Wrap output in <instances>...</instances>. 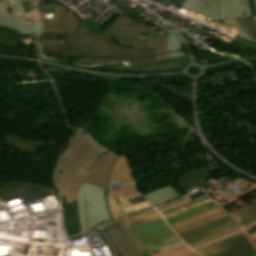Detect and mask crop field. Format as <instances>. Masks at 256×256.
I'll list each match as a JSON object with an SVG mask.
<instances>
[{
    "mask_svg": "<svg viewBox=\"0 0 256 256\" xmlns=\"http://www.w3.org/2000/svg\"><path fill=\"white\" fill-rule=\"evenodd\" d=\"M218 3L221 20L241 17L238 0H218Z\"/></svg>",
    "mask_w": 256,
    "mask_h": 256,
    "instance_id": "00972430",
    "label": "crop field"
},
{
    "mask_svg": "<svg viewBox=\"0 0 256 256\" xmlns=\"http://www.w3.org/2000/svg\"><path fill=\"white\" fill-rule=\"evenodd\" d=\"M145 248L152 256H185L193 253L177 236L145 246Z\"/></svg>",
    "mask_w": 256,
    "mask_h": 256,
    "instance_id": "d1516ede",
    "label": "crop field"
},
{
    "mask_svg": "<svg viewBox=\"0 0 256 256\" xmlns=\"http://www.w3.org/2000/svg\"><path fill=\"white\" fill-rule=\"evenodd\" d=\"M152 208H153V206L145 208V209H142V210H139V211H136V212H132V213L126 214V217L134 215V214H137V213H140V212H143V211H146V210H149V209H152Z\"/></svg>",
    "mask_w": 256,
    "mask_h": 256,
    "instance_id": "028f5c9d",
    "label": "crop field"
},
{
    "mask_svg": "<svg viewBox=\"0 0 256 256\" xmlns=\"http://www.w3.org/2000/svg\"><path fill=\"white\" fill-rule=\"evenodd\" d=\"M158 219H161V217L157 214V212L155 210H152V211L142 213V214H139V215H136L131 218L123 220V223L127 227L132 238L137 243V245L141 248L142 251H144L145 249L142 246V244L139 242V240L137 239V237L135 236V234L133 233V231L131 230L130 227L142 225V224H145V223H148L151 221H155Z\"/></svg>",
    "mask_w": 256,
    "mask_h": 256,
    "instance_id": "4a817a6b",
    "label": "crop field"
},
{
    "mask_svg": "<svg viewBox=\"0 0 256 256\" xmlns=\"http://www.w3.org/2000/svg\"><path fill=\"white\" fill-rule=\"evenodd\" d=\"M151 102L148 99H145L144 102L141 103V100H131L127 99L123 103V105L120 108H115L111 115L115 114V119L117 117H120V121L126 122V125H131V127H135L134 131L138 134L143 135H149L156 131L158 127H163L164 125H167L169 123H175L174 127L176 128H182L186 126L182 121H180L170 110H166L165 108L159 110L164 111V113H170L172 115V118L170 121L160 125V126H154L151 122H149L146 118L151 112L149 110L152 105H150ZM106 113H109L111 111L106 109ZM110 115V116H111Z\"/></svg>",
    "mask_w": 256,
    "mask_h": 256,
    "instance_id": "412701ff",
    "label": "crop field"
},
{
    "mask_svg": "<svg viewBox=\"0 0 256 256\" xmlns=\"http://www.w3.org/2000/svg\"><path fill=\"white\" fill-rule=\"evenodd\" d=\"M224 44L229 45V46L237 47V48L241 49L244 52L246 51V49L249 46L256 48V45H253L251 43H248V42H246L244 40H241V39H238L236 37H234V39H233L231 44H227V43H224Z\"/></svg>",
    "mask_w": 256,
    "mask_h": 256,
    "instance_id": "750c4746",
    "label": "crop field"
},
{
    "mask_svg": "<svg viewBox=\"0 0 256 256\" xmlns=\"http://www.w3.org/2000/svg\"><path fill=\"white\" fill-rule=\"evenodd\" d=\"M182 7L220 21L217 0H186Z\"/></svg>",
    "mask_w": 256,
    "mask_h": 256,
    "instance_id": "d9b57169",
    "label": "crop field"
},
{
    "mask_svg": "<svg viewBox=\"0 0 256 256\" xmlns=\"http://www.w3.org/2000/svg\"><path fill=\"white\" fill-rule=\"evenodd\" d=\"M26 184L25 182H11L0 186V197L2 200L18 196L12 190Z\"/></svg>",
    "mask_w": 256,
    "mask_h": 256,
    "instance_id": "ae1a2a85",
    "label": "crop field"
},
{
    "mask_svg": "<svg viewBox=\"0 0 256 256\" xmlns=\"http://www.w3.org/2000/svg\"><path fill=\"white\" fill-rule=\"evenodd\" d=\"M82 233L113 222L107 208L105 189L84 182L77 192Z\"/></svg>",
    "mask_w": 256,
    "mask_h": 256,
    "instance_id": "34b2d1b8",
    "label": "crop field"
},
{
    "mask_svg": "<svg viewBox=\"0 0 256 256\" xmlns=\"http://www.w3.org/2000/svg\"><path fill=\"white\" fill-rule=\"evenodd\" d=\"M165 90H166V91H169V92H172V93H174V94H177V95H179V96H182V97H184V98H186V99L192 101V97H191V96H187V95H184V94H181V93H177V92L171 91V90L166 89V88H165Z\"/></svg>",
    "mask_w": 256,
    "mask_h": 256,
    "instance_id": "5866460e",
    "label": "crop field"
},
{
    "mask_svg": "<svg viewBox=\"0 0 256 256\" xmlns=\"http://www.w3.org/2000/svg\"><path fill=\"white\" fill-rule=\"evenodd\" d=\"M251 237H252L254 243L256 244V233L252 234Z\"/></svg>",
    "mask_w": 256,
    "mask_h": 256,
    "instance_id": "b80d0937",
    "label": "crop field"
},
{
    "mask_svg": "<svg viewBox=\"0 0 256 256\" xmlns=\"http://www.w3.org/2000/svg\"><path fill=\"white\" fill-rule=\"evenodd\" d=\"M230 215H232L239 222L245 219H248L250 217H253L256 215V203L250 206H247L245 208H242L238 211H235L233 213H230Z\"/></svg>",
    "mask_w": 256,
    "mask_h": 256,
    "instance_id": "d3111659",
    "label": "crop field"
},
{
    "mask_svg": "<svg viewBox=\"0 0 256 256\" xmlns=\"http://www.w3.org/2000/svg\"><path fill=\"white\" fill-rule=\"evenodd\" d=\"M121 256H145L133 241L122 221L103 227Z\"/></svg>",
    "mask_w": 256,
    "mask_h": 256,
    "instance_id": "d8731c3e",
    "label": "crop field"
},
{
    "mask_svg": "<svg viewBox=\"0 0 256 256\" xmlns=\"http://www.w3.org/2000/svg\"><path fill=\"white\" fill-rule=\"evenodd\" d=\"M215 207H218V205L205 195L193 200H190V198L186 196L167 205L161 206L157 208V210L167 221L168 225H170Z\"/></svg>",
    "mask_w": 256,
    "mask_h": 256,
    "instance_id": "f4fd0767",
    "label": "crop field"
},
{
    "mask_svg": "<svg viewBox=\"0 0 256 256\" xmlns=\"http://www.w3.org/2000/svg\"><path fill=\"white\" fill-rule=\"evenodd\" d=\"M64 33H42L39 39L43 54L83 57L79 51L65 42Z\"/></svg>",
    "mask_w": 256,
    "mask_h": 256,
    "instance_id": "5a996713",
    "label": "crop field"
},
{
    "mask_svg": "<svg viewBox=\"0 0 256 256\" xmlns=\"http://www.w3.org/2000/svg\"><path fill=\"white\" fill-rule=\"evenodd\" d=\"M227 215V213L220 207L213 210L207 211L205 213L199 214L197 216L191 217L189 219L183 220L181 222L170 225L173 231L177 234L184 232L186 230L192 229L214 219L220 218Z\"/></svg>",
    "mask_w": 256,
    "mask_h": 256,
    "instance_id": "cbeb9de0",
    "label": "crop field"
},
{
    "mask_svg": "<svg viewBox=\"0 0 256 256\" xmlns=\"http://www.w3.org/2000/svg\"><path fill=\"white\" fill-rule=\"evenodd\" d=\"M66 34V42L79 50L85 58H78L77 64H96L129 61V64L155 61V48H145L147 37L140 34L151 28L120 15L101 34H91L68 10L60 21ZM112 34V35H110ZM116 39V41H113Z\"/></svg>",
    "mask_w": 256,
    "mask_h": 256,
    "instance_id": "8a807250",
    "label": "crop field"
},
{
    "mask_svg": "<svg viewBox=\"0 0 256 256\" xmlns=\"http://www.w3.org/2000/svg\"><path fill=\"white\" fill-rule=\"evenodd\" d=\"M148 206H151V204L147 200H145V201L139 202L137 204L128 206L126 208H123V211L126 214V213H129V212H132V211H135V210H139V209H142V208H145V207H148Z\"/></svg>",
    "mask_w": 256,
    "mask_h": 256,
    "instance_id": "1d83c4d3",
    "label": "crop field"
},
{
    "mask_svg": "<svg viewBox=\"0 0 256 256\" xmlns=\"http://www.w3.org/2000/svg\"><path fill=\"white\" fill-rule=\"evenodd\" d=\"M32 0H1L0 14H31Z\"/></svg>",
    "mask_w": 256,
    "mask_h": 256,
    "instance_id": "bc2a9ffb",
    "label": "crop field"
},
{
    "mask_svg": "<svg viewBox=\"0 0 256 256\" xmlns=\"http://www.w3.org/2000/svg\"><path fill=\"white\" fill-rule=\"evenodd\" d=\"M240 226V224L230 215L214 220L192 230L179 234V237L187 244H191L218 234L220 232L229 230L231 228Z\"/></svg>",
    "mask_w": 256,
    "mask_h": 256,
    "instance_id": "e52e79f7",
    "label": "crop field"
},
{
    "mask_svg": "<svg viewBox=\"0 0 256 256\" xmlns=\"http://www.w3.org/2000/svg\"><path fill=\"white\" fill-rule=\"evenodd\" d=\"M254 220H256V216L253 217V218H250V219H248V220H246V221L241 222V224L244 225V224L249 223V222H252V221H254Z\"/></svg>",
    "mask_w": 256,
    "mask_h": 256,
    "instance_id": "0bd39190",
    "label": "crop field"
},
{
    "mask_svg": "<svg viewBox=\"0 0 256 256\" xmlns=\"http://www.w3.org/2000/svg\"><path fill=\"white\" fill-rule=\"evenodd\" d=\"M256 19V17H254Z\"/></svg>",
    "mask_w": 256,
    "mask_h": 256,
    "instance_id": "5d738f31",
    "label": "crop field"
},
{
    "mask_svg": "<svg viewBox=\"0 0 256 256\" xmlns=\"http://www.w3.org/2000/svg\"><path fill=\"white\" fill-rule=\"evenodd\" d=\"M81 130L76 129L67 141L54 174V183L67 204L76 200V191L89 175L83 170L108 152Z\"/></svg>",
    "mask_w": 256,
    "mask_h": 256,
    "instance_id": "ac0d7876",
    "label": "crop field"
},
{
    "mask_svg": "<svg viewBox=\"0 0 256 256\" xmlns=\"http://www.w3.org/2000/svg\"><path fill=\"white\" fill-rule=\"evenodd\" d=\"M155 30L151 29L146 47H156L158 60L168 59L169 56L165 50L167 38H153Z\"/></svg>",
    "mask_w": 256,
    "mask_h": 256,
    "instance_id": "a9b5d70f",
    "label": "crop field"
},
{
    "mask_svg": "<svg viewBox=\"0 0 256 256\" xmlns=\"http://www.w3.org/2000/svg\"><path fill=\"white\" fill-rule=\"evenodd\" d=\"M221 22H222V23H225V24H228V25H231V26H233V27H236V28H238V29H240L239 32L237 33V35H239V36H241V37H243V38H245V39H248V40H250V41H253L251 38H249V37L244 33V31L240 28V26L238 25V23L236 22L235 19L226 20V21H221ZM253 42H255V41H253Z\"/></svg>",
    "mask_w": 256,
    "mask_h": 256,
    "instance_id": "120bbe31",
    "label": "crop field"
},
{
    "mask_svg": "<svg viewBox=\"0 0 256 256\" xmlns=\"http://www.w3.org/2000/svg\"><path fill=\"white\" fill-rule=\"evenodd\" d=\"M132 230L143 246L175 236L163 219L142 226L133 227Z\"/></svg>",
    "mask_w": 256,
    "mask_h": 256,
    "instance_id": "3316defc",
    "label": "crop field"
},
{
    "mask_svg": "<svg viewBox=\"0 0 256 256\" xmlns=\"http://www.w3.org/2000/svg\"><path fill=\"white\" fill-rule=\"evenodd\" d=\"M188 61L187 57H178L168 60L149 62L144 64L132 65V72H153V71H167L172 69H178L186 64Z\"/></svg>",
    "mask_w": 256,
    "mask_h": 256,
    "instance_id": "5142ce71",
    "label": "crop field"
},
{
    "mask_svg": "<svg viewBox=\"0 0 256 256\" xmlns=\"http://www.w3.org/2000/svg\"><path fill=\"white\" fill-rule=\"evenodd\" d=\"M254 3H255V7H256V0H254Z\"/></svg>",
    "mask_w": 256,
    "mask_h": 256,
    "instance_id": "03da06ac",
    "label": "crop field"
},
{
    "mask_svg": "<svg viewBox=\"0 0 256 256\" xmlns=\"http://www.w3.org/2000/svg\"><path fill=\"white\" fill-rule=\"evenodd\" d=\"M117 195H120L121 199H126L138 195V193L134 184H122L121 191H106L108 208L114 222L126 218L121 208L131 205L129 200L116 203L114 196Z\"/></svg>",
    "mask_w": 256,
    "mask_h": 256,
    "instance_id": "22f410ed",
    "label": "crop field"
},
{
    "mask_svg": "<svg viewBox=\"0 0 256 256\" xmlns=\"http://www.w3.org/2000/svg\"><path fill=\"white\" fill-rule=\"evenodd\" d=\"M255 186H256V183L252 182Z\"/></svg>",
    "mask_w": 256,
    "mask_h": 256,
    "instance_id": "b54c1fbb",
    "label": "crop field"
},
{
    "mask_svg": "<svg viewBox=\"0 0 256 256\" xmlns=\"http://www.w3.org/2000/svg\"><path fill=\"white\" fill-rule=\"evenodd\" d=\"M242 231H244V229H243L242 226H240V227L234 228L232 230H229V231L220 233L218 235L212 236V237L207 238L205 240L199 241L197 243L191 244L189 246L191 248H193L194 250H196L198 248H201V247H204L206 245L212 244V243L217 242V241H219V240H221L223 238H226L228 236L234 235V234L242 232Z\"/></svg>",
    "mask_w": 256,
    "mask_h": 256,
    "instance_id": "730fd06b",
    "label": "crop field"
},
{
    "mask_svg": "<svg viewBox=\"0 0 256 256\" xmlns=\"http://www.w3.org/2000/svg\"><path fill=\"white\" fill-rule=\"evenodd\" d=\"M166 49L171 58L178 56H187L186 53L182 51V44L179 38L170 28H168V42Z\"/></svg>",
    "mask_w": 256,
    "mask_h": 256,
    "instance_id": "4177f3b9",
    "label": "crop field"
},
{
    "mask_svg": "<svg viewBox=\"0 0 256 256\" xmlns=\"http://www.w3.org/2000/svg\"><path fill=\"white\" fill-rule=\"evenodd\" d=\"M14 191L21 197H23L27 201L26 203L33 201L37 198L46 196L48 194L54 193V191L46 187L31 183H28L27 185L22 186Z\"/></svg>",
    "mask_w": 256,
    "mask_h": 256,
    "instance_id": "214f88e0",
    "label": "crop field"
},
{
    "mask_svg": "<svg viewBox=\"0 0 256 256\" xmlns=\"http://www.w3.org/2000/svg\"><path fill=\"white\" fill-rule=\"evenodd\" d=\"M0 26L15 30L12 14L0 15Z\"/></svg>",
    "mask_w": 256,
    "mask_h": 256,
    "instance_id": "bd1437ed",
    "label": "crop field"
},
{
    "mask_svg": "<svg viewBox=\"0 0 256 256\" xmlns=\"http://www.w3.org/2000/svg\"><path fill=\"white\" fill-rule=\"evenodd\" d=\"M188 256H198L197 254L193 253V254H190Z\"/></svg>",
    "mask_w": 256,
    "mask_h": 256,
    "instance_id": "c21b1889",
    "label": "crop field"
},
{
    "mask_svg": "<svg viewBox=\"0 0 256 256\" xmlns=\"http://www.w3.org/2000/svg\"><path fill=\"white\" fill-rule=\"evenodd\" d=\"M243 17L251 16L248 0H239Z\"/></svg>",
    "mask_w": 256,
    "mask_h": 256,
    "instance_id": "d32e631a",
    "label": "crop field"
},
{
    "mask_svg": "<svg viewBox=\"0 0 256 256\" xmlns=\"http://www.w3.org/2000/svg\"><path fill=\"white\" fill-rule=\"evenodd\" d=\"M110 179L133 182L126 159L119 157L111 170Z\"/></svg>",
    "mask_w": 256,
    "mask_h": 256,
    "instance_id": "dafd665d",
    "label": "crop field"
},
{
    "mask_svg": "<svg viewBox=\"0 0 256 256\" xmlns=\"http://www.w3.org/2000/svg\"><path fill=\"white\" fill-rule=\"evenodd\" d=\"M196 252L201 256H256V247L244 231Z\"/></svg>",
    "mask_w": 256,
    "mask_h": 256,
    "instance_id": "dd49c442",
    "label": "crop field"
},
{
    "mask_svg": "<svg viewBox=\"0 0 256 256\" xmlns=\"http://www.w3.org/2000/svg\"><path fill=\"white\" fill-rule=\"evenodd\" d=\"M241 28L245 31V33L251 37L252 39L256 40V21L253 17L251 18H244V19H237Z\"/></svg>",
    "mask_w": 256,
    "mask_h": 256,
    "instance_id": "eef30255",
    "label": "crop field"
},
{
    "mask_svg": "<svg viewBox=\"0 0 256 256\" xmlns=\"http://www.w3.org/2000/svg\"><path fill=\"white\" fill-rule=\"evenodd\" d=\"M16 31L27 34L32 32H40L42 30L39 16L32 15H13Z\"/></svg>",
    "mask_w": 256,
    "mask_h": 256,
    "instance_id": "733c2abd",
    "label": "crop field"
},
{
    "mask_svg": "<svg viewBox=\"0 0 256 256\" xmlns=\"http://www.w3.org/2000/svg\"><path fill=\"white\" fill-rule=\"evenodd\" d=\"M146 256H151L147 251L144 252Z\"/></svg>",
    "mask_w": 256,
    "mask_h": 256,
    "instance_id": "c035e120",
    "label": "crop field"
},
{
    "mask_svg": "<svg viewBox=\"0 0 256 256\" xmlns=\"http://www.w3.org/2000/svg\"><path fill=\"white\" fill-rule=\"evenodd\" d=\"M119 156L108 152L85 171L91 173L86 182H90L97 186H102L107 188L109 173L112 165L117 160Z\"/></svg>",
    "mask_w": 256,
    "mask_h": 256,
    "instance_id": "28ad6ade",
    "label": "crop field"
},
{
    "mask_svg": "<svg viewBox=\"0 0 256 256\" xmlns=\"http://www.w3.org/2000/svg\"><path fill=\"white\" fill-rule=\"evenodd\" d=\"M154 206H158L182 197L171 186L156 192L144 195Z\"/></svg>",
    "mask_w": 256,
    "mask_h": 256,
    "instance_id": "92a150f3",
    "label": "crop field"
},
{
    "mask_svg": "<svg viewBox=\"0 0 256 256\" xmlns=\"http://www.w3.org/2000/svg\"><path fill=\"white\" fill-rule=\"evenodd\" d=\"M244 227H245L246 230L252 229V228L256 227V221L252 222V223H249L247 225H244Z\"/></svg>",
    "mask_w": 256,
    "mask_h": 256,
    "instance_id": "e1f06a70",
    "label": "crop field"
}]
</instances>
